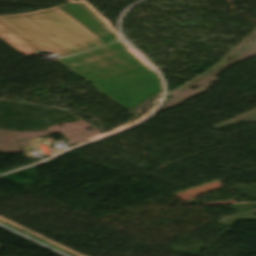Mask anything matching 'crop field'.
<instances>
[{"instance_id":"ac0d7876","label":"crop field","mask_w":256,"mask_h":256,"mask_svg":"<svg viewBox=\"0 0 256 256\" xmlns=\"http://www.w3.org/2000/svg\"><path fill=\"white\" fill-rule=\"evenodd\" d=\"M62 61L130 108L160 91L155 75L119 42Z\"/></svg>"},{"instance_id":"8a807250","label":"crop field","mask_w":256,"mask_h":256,"mask_svg":"<svg viewBox=\"0 0 256 256\" xmlns=\"http://www.w3.org/2000/svg\"><path fill=\"white\" fill-rule=\"evenodd\" d=\"M0 37L26 55L43 50L61 56L118 38L83 2L33 14L2 16Z\"/></svg>"}]
</instances>
